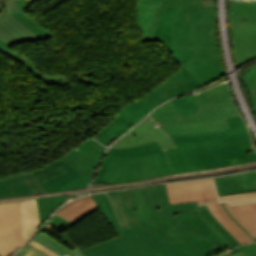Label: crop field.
<instances>
[{"label":"crop field","mask_w":256,"mask_h":256,"mask_svg":"<svg viewBox=\"0 0 256 256\" xmlns=\"http://www.w3.org/2000/svg\"><path fill=\"white\" fill-rule=\"evenodd\" d=\"M200 111L181 116L171 101L150 114L156 123H180L226 117L230 128L223 132L170 136L146 117L110 148H124L157 140L165 150L174 174L256 161L250 135L230 97L227 83L195 95ZM215 99V101H213ZM163 107V108H161ZM124 142V144H122Z\"/></svg>","instance_id":"obj_1"},{"label":"crop field","mask_w":256,"mask_h":256,"mask_svg":"<svg viewBox=\"0 0 256 256\" xmlns=\"http://www.w3.org/2000/svg\"><path fill=\"white\" fill-rule=\"evenodd\" d=\"M163 5L178 7L172 46L184 67L203 85L222 76L225 70L216 46L213 0H163L147 41L152 38Z\"/></svg>","instance_id":"obj_2"},{"label":"crop field","mask_w":256,"mask_h":256,"mask_svg":"<svg viewBox=\"0 0 256 256\" xmlns=\"http://www.w3.org/2000/svg\"><path fill=\"white\" fill-rule=\"evenodd\" d=\"M176 9L177 8L174 7H163L156 31L151 41H161L178 61L181 69L159 84L143 98L125 106L111 123L93 137L103 145H107L110 141L128 131L150 110L160 105V103L174 96L196 90L194 87L197 89L203 87V85L182 66L171 46L172 25ZM175 86H177V88H175Z\"/></svg>","instance_id":"obj_3"},{"label":"crop field","mask_w":256,"mask_h":256,"mask_svg":"<svg viewBox=\"0 0 256 256\" xmlns=\"http://www.w3.org/2000/svg\"><path fill=\"white\" fill-rule=\"evenodd\" d=\"M91 196L119 236L83 249L85 256H184L156 239L140 225L121 229L107 194Z\"/></svg>","instance_id":"obj_4"},{"label":"crop field","mask_w":256,"mask_h":256,"mask_svg":"<svg viewBox=\"0 0 256 256\" xmlns=\"http://www.w3.org/2000/svg\"><path fill=\"white\" fill-rule=\"evenodd\" d=\"M139 223L149 233L186 256H215L227 249L193 238L174 227L160 230L151 220L160 218L151 187L131 190ZM212 247H208V246Z\"/></svg>","instance_id":"obj_5"},{"label":"crop field","mask_w":256,"mask_h":256,"mask_svg":"<svg viewBox=\"0 0 256 256\" xmlns=\"http://www.w3.org/2000/svg\"><path fill=\"white\" fill-rule=\"evenodd\" d=\"M171 174L173 173L164 151L139 157H118L106 154L93 183L115 184Z\"/></svg>","instance_id":"obj_6"},{"label":"crop field","mask_w":256,"mask_h":256,"mask_svg":"<svg viewBox=\"0 0 256 256\" xmlns=\"http://www.w3.org/2000/svg\"><path fill=\"white\" fill-rule=\"evenodd\" d=\"M23 244L19 201L0 204V254L11 256Z\"/></svg>","instance_id":"obj_7"},{"label":"crop field","mask_w":256,"mask_h":256,"mask_svg":"<svg viewBox=\"0 0 256 256\" xmlns=\"http://www.w3.org/2000/svg\"><path fill=\"white\" fill-rule=\"evenodd\" d=\"M153 192L155 199L161 213L162 218L153 220V222L162 230H167L173 225L180 222L173 215L192 208L200 219L212 230V232L219 238L221 242L227 243L231 248L233 246L219 233V231L206 219L205 215L198 208L197 203L174 204L170 205L168 201L167 190L165 184L154 186Z\"/></svg>","instance_id":"obj_8"},{"label":"crop field","mask_w":256,"mask_h":256,"mask_svg":"<svg viewBox=\"0 0 256 256\" xmlns=\"http://www.w3.org/2000/svg\"><path fill=\"white\" fill-rule=\"evenodd\" d=\"M170 204L198 202L199 205L205 202H218L216 188L213 180H198L166 184Z\"/></svg>","instance_id":"obj_9"},{"label":"crop field","mask_w":256,"mask_h":256,"mask_svg":"<svg viewBox=\"0 0 256 256\" xmlns=\"http://www.w3.org/2000/svg\"><path fill=\"white\" fill-rule=\"evenodd\" d=\"M15 11L14 0L0 4V39L8 45L42 39L10 13ZM0 40V41H1Z\"/></svg>","instance_id":"obj_10"},{"label":"crop field","mask_w":256,"mask_h":256,"mask_svg":"<svg viewBox=\"0 0 256 256\" xmlns=\"http://www.w3.org/2000/svg\"><path fill=\"white\" fill-rule=\"evenodd\" d=\"M233 31V47L236 68L256 59V25L229 20Z\"/></svg>","instance_id":"obj_11"},{"label":"crop field","mask_w":256,"mask_h":256,"mask_svg":"<svg viewBox=\"0 0 256 256\" xmlns=\"http://www.w3.org/2000/svg\"><path fill=\"white\" fill-rule=\"evenodd\" d=\"M32 174L46 193L62 191L60 186L83 175L61 159Z\"/></svg>","instance_id":"obj_12"},{"label":"crop field","mask_w":256,"mask_h":256,"mask_svg":"<svg viewBox=\"0 0 256 256\" xmlns=\"http://www.w3.org/2000/svg\"><path fill=\"white\" fill-rule=\"evenodd\" d=\"M102 147L104 146L93 139H89L79 146L78 150L71 151L61 159L81 173L93 176L98 161L105 153V150H103Z\"/></svg>","instance_id":"obj_13"},{"label":"crop field","mask_w":256,"mask_h":256,"mask_svg":"<svg viewBox=\"0 0 256 256\" xmlns=\"http://www.w3.org/2000/svg\"><path fill=\"white\" fill-rule=\"evenodd\" d=\"M45 193L31 173L0 180V197Z\"/></svg>","instance_id":"obj_14"},{"label":"crop field","mask_w":256,"mask_h":256,"mask_svg":"<svg viewBox=\"0 0 256 256\" xmlns=\"http://www.w3.org/2000/svg\"><path fill=\"white\" fill-rule=\"evenodd\" d=\"M214 180L219 195L256 191V171Z\"/></svg>","instance_id":"obj_15"},{"label":"crop field","mask_w":256,"mask_h":256,"mask_svg":"<svg viewBox=\"0 0 256 256\" xmlns=\"http://www.w3.org/2000/svg\"><path fill=\"white\" fill-rule=\"evenodd\" d=\"M157 125L161 127L168 135L216 132L222 131L221 128L229 127L225 118L202 122Z\"/></svg>","instance_id":"obj_16"},{"label":"crop field","mask_w":256,"mask_h":256,"mask_svg":"<svg viewBox=\"0 0 256 256\" xmlns=\"http://www.w3.org/2000/svg\"><path fill=\"white\" fill-rule=\"evenodd\" d=\"M230 214L256 239V203L231 206L224 202Z\"/></svg>","instance_id":"obj_17"},{"label":"crop field","mask_w":256,"mask_h":256,"mask_svg":"<svg viewBox=\"0 0 256 256\" xmlns=\"http://www.w3.org/2000/svg\"><path fill=\"white\" fill-rule=\"evenodd\" d=\"M162 0H138V21L137 26L143 36L140 42L146 41L154 17Z\"/></svg>","instance_id":"obj_18"},{"label":"crop field","mask_w":256,"mask_h":256,"mask_svg":"<svg viewBox=\"0 0 256 256\" xmlns=\"http://www.w3.org/2000/svg\"><path fill=\"white\" fill-rule=\"evenodd\" d=\"M97 208L91 196L80 198L71 202L58 212V216L75 224Z\"/></svg>","instance_id":"obj_19"},{"label":"crop field","mask_w":256,"mask_h":256,"mask_svg":"<svg viewBox=\"0 0 256 256\" xmlns=\"http://www.w3.org/2000/svg\"><path fill=\"white\" fill-rule=\"evenodd\" d=\"M24 241L26 242L41 226L35 199L20 201Z\"/></svg>","instance_id":"obj_20"},{"label":"crop field","mask_w":256,"mask_h":256,"mask_svg":"<svg viewBox=\"0 0 256 256\" xmlns=\"http://www.w3.org/2000/svg\"><path fill=\"white\" fill-rule=\"evenodd\" d=\"M214 217L241 243L254 242L225 212L221 203L208 204Z\"/></svg>","instance_id":"obj_21"},{"label":"crop field","mask_w":256,"mask_h":256,"mask_svg":"<svg viewBox=\"0 0 256 256\" xmlns=\"http://www.w3.org/2000/svg\"><path fill=\"white\" fill-rule=\"evenodd\" d=\"M229 19L243 20L256 24V2L232 1Z\"/></svg>","instance_id":"obj_22"},{"label":"crop field","mask_w":256,"mask_h":256,"mask_svg":"<svg viewBox=\"0 0 256 256\" xmlns=\"http://www.w3.org/2000/svg\"><path fill=\"white\" fill-rule=\"evenodd\" d=\"M158 151H161V148L157 141L130 147V148H124V149H109L107 152L111 155H118V156H138V155H147L156 153Z\"/></svg>","instance_id":"obj_23"},{"label":"crop field","mask_w":256,"mask_h":256,"mask_svg":"<svg viewBox=\"0 0 256 256\" xmlns=\"http://www.w3.org/2000/svg\"><path fill=\"white\" fill-rule=\"evenodd\" d=\"M128 226L138 225L130 190L117 191Z\"/></svg>","instance_id":"obj_24"},{"label":"crop field","mask_w":256,"mask_h":256,"mask_svg":"<svg viewBox=\"0 0 256 256\" xmlns=\"http://www.w3.org/2000/svg\"><path fill=\"white\" fill-rule=\"evenodd\" d=\"M65 200L67 199L63 195L56 196V197L36 199L41 224L48 217V215Z\"/></svg>","instance_id":"obj_25"},{"label":"crop field","mask_w":256,"mask_h":256,"mask_svg":"<svg viewBox=\"0 0 256 256\" xmlns=\"http://www.w3.org/2000/svg\"><path fill=\"white\" fill-rule=\"evenodd\" d=\"M37 241L38 243L50 248L54 252L58 253L59 255H64L68 254L70 256H84L81 250L79 251L78 249L73 250L72 252L59 244L57 241L51 239L41 231L38 233V235L33 239Z\"/></svg>","instance_id":"obj_26"},{"label":"crop field","mask_w":256,"mask_h":256,"mask_svg":"<svg viewBox=\"0 0 256 256\" xmlns=\"http://www.w3.org/2000/svg\"><path fill=\"white\" fill-rule=\"evenodd\" d=\"M178 216L191 228L194 230L217 239V237L210 231V229L199 219V217L192 211V209L187 210L178 214ZM218 240V239H217Z\"/></svg>","instance_id":"obj_27"},{"label":"crop field","mask_w":256,"mask_h":256,"mask_svg":"<svg viewBox=\"0 0 256 256\" xmlns=\"http://www.w3.org/2000/svg\"><path fill=\"white\" fill-rule=\"evenodd\" d=\"M181 115H186L199 110L194 95L171 100Z\"/></svg>","instance_id":"obj_28"},{"label":"crop field","mask_w":256,"mask_h":256,"mask_svg":"<svg viewBox=\"0 0 256 256\" xmlns=\"http://www.w3.org/2000/svg\"><path fill=\"white\" fill-rule=\"evenodd\" d=\"M202 212L206 215L207 219L221 232V234L234 246L241 245L211 214L208 208L200 206Z\"/></svg>","instance_id":"obj_29"},{"label":"crop field","mask_w":256,"mask_h":256,"mask_svg":"<svg viewBox=\"0 0 256 256\" xmlns=\"http://www.w3.org/2000/svg\"><path fill=\"white\" fill-rule=\"evenodd\" d=\"M16 18H18L20 21H22L25 25H27L29 28H31L34 32H36L39 36H41L43 39L49 38L50 35L48 32H46L42 27H40L36 22H34L30 17H28L23 12H14L12 13Z\"/></svg>","instance_id":"obj_30"},{"label":"crop field","mask_w":256,"mask_h":256,"mask_svg":"<svg viewBox=\"0 0 256 256\" xmlns=\"http://www.w3.org/2000/svg\"><path fill=\"white\" fill-rule=\"evenodd\" d=\"M176 218H178L181 222L178 223L177 225H175L176 227L180 228L181 230H183L184 232L188 233L189 235L193 236V237H196L198 239H201V240H204L206 242H209L211 244H214V245H218V246H222V247H225L227 249H230V247L227 245V244H224V243H220L214 239H211L209 237H206L196 231H194L193 229L189 228L177 215H175Z\"/></svg>","instance_id":"obj_31"},{"label":"crop field","mask_w":256,"mask_h":256,"mask_svg":"<svg viewBox=\"0 0 256 256\" xmlns=\"http://www.w3.org/2000/svg\"><path fill=\"white\" fill-rule=\"evenodd\" d=\"M243 81L249 90V94L252 98L254 110L256 113V67L244 75Z\"/></svg>","instance_id":"obj_32"},{"label":"crop field","mask_w":256,"mask_h":256,"mask_svg":"<svg viewBox=\"0 0 256 256\" xmlns=\"http://www.w3.org/2000/svg\"><path fill=\"white\" fill-rule=\"evenodd\" d=\"M220 201L229 200L231 204H239L256 201V192L219 196Z\"/></svg>","instance_id":"obj_33"},{"label":"crop field","mask_w":256,"mask_h":256,"mask_svg":"<svg viewBox=\"0 0 256 256\" xmlns=\"http://www.w3.org/2000/svg\"><path fill=\"white\" fill-rule=\"evenodd\" d=\"M110 201L112 203V206L114 208L115 214L117 216V219L121 225V227H128L125 220H124V216H123V212L119 203V199H118V195L116 192H111V193H107Z\"/></svg>","instance_id":"obj_34"},{"label":"crop field","mask_w":256,"mask_h":256,"mask_svg":"<svg viewBox=\"0 0 256 256\" xmlns=\"http://www.w3.org/2000/svg\"><path fill=\"white\" fill-rule=\"evenodd\" d=\"M92 178L90 176H82L64 186H62V190L63 191H68V190H78L81 188L86 187L90 182H91Z\"/></svg>","instance_id":"obj_35"},{"label":"crop field","mask_w":256,"mask_h":256,"mask_svg":"<svg viewBox=\"0 0 256 256\" xmlns=\"http://www.w3.org/2000/svg\"><path fill=\"white\" fill-rule=\"evenodd\" d=\"M17 256H50L46 252L28 244Z\"/></svg>","instance_id":"obj_36"},{"label":"crop field","mask_w":256,"mask_h":256,"mask_svg":"<svg viewBox=\"0 0 256 256\" xmlns=\"http://www.w3.org/2000/svg\"><path fill=\"white\" fill-rule=\"evenodd\" d=\"M243 251L248 256H256V243L245 244L243 246L236 247L232 250L226 251L228 254Z\"/></svg>","instance_id":"obj_37"},{"label":"crop field","mask_w":256,"mask_h":256,"mask_svg":"<svg viewBox=\"0 0 256 256\" xmlns=\"http://www.w3.org/2000/svg\"><path fill=\"white\" fill-rule=\"evenodd\" d=\"M49 223H51L53 226L58 228L61 232H63L65 229H67L68 227L73 225V224L63 220L62 218L56 216V215L54 216V218Z\"/></svg>","instance_id":"obj_38"},{"label":"crop field","mask_w":256,"mask_h":256,"mask_svg":"<svg viewBox=\"0 0 256 256\" xmlns=\"http://www.w3.org/2000/svg\"><path fill=\"white\" fill-rule=\"evenodd\" d=\"M30 244H32V245H34V246H36V247H38V248H40V249L46 251V252H47L48 254H50L51 256H59V255H57L56 253H54L53 251H51L50 249H48V248H46V247H44V246H42V245L36 243V242L33 241V240L30 242ZM64 256H68V255L66 254V255H64Z\"/></svg>","instance_id":"obj_39"},{"label":"crop field","mask_w":256,"mask_h":256,"mask_svg":"<svg viewBox=\"0 0 256 256\" xmlns=\"http://www.w3.org/2000/svg\"><path fill=\"white\" fill-rule=\"evenodd\" d=\"M27 8V0H16V10H24Z\"/></svg>","instance_id":"obj_40"},{"label":"crop field","mask_w":256,"mask_h":256,"mask_svg":"<svg viewBox=\"0 0 256 256\" xmlns=\"http://www.w3.org/2000/svg\"><path fill=\"white\" fill-rule=\"evenodd\" d=\"M8 47H9L8 45H6L4 42L0 41V51L5 54L12 55L13 52L9 51Z\"/></svg>","instance_id":"obj_41"},{"label":"crop field","mask_w":256,"mask_h":256,"mask_svg":"<svg viewBox=\"0 0 256 256\" xmlns=\"http://www.w3.org/2000/svg\"><path fill=\"white\" fill-rule=\"evenodd\" d=\"M217 256H247L246 254H244L243 252H240V253H236V254H231V255H228L226 254L225 252L217 255Z\"/></svg>","instance_id":"obj_42"},{"label":"crop field","mask_w":256,"mask_h":256,"mask_svg":"<svg viewBox=\"0 0 256 256\" xmlns=\"http://www.w3.org/2000/svg\"><path fill=\"white\" fill-rule=\"evenodd\" d=\"M222 203V206L225 208V206H224V204H223V202H221ZM225 210H226V212L229 214V212L227 211V209L225 208ZM230 215V214H229ZM230 217L235 221V219L230 215ZM236 222V221H235ZM237 223V222H236ZM238 224V223H237ZM239 225V224H238ZM240 226V225H239ZM241 227V226H240ZM242 228V227H241ZM253 240H254V238L244 229V228H242ZM255 241V240H254Z\"/></svg>","instance_id":"obj_43"},{"label":"crop field","mask_w":256,"mask_h":256,"mask_svg":"<svg viewBox=\"0 0 256 256\" xmlns=\"http://www.w3.org/2000/svg\"><path fill=\"white\" fill-rule=\"evenodd\" d=\"M0 3H1V1H0Z\"/></svg>","instance_id":"obj_44"},{"label":"crop field","mask_w":256,"mask_h":256,"mask_svg":"<svg viewBox=\"0 0 256 256\" xmlns=\"http://www.w3.org/2000/svg\"><path fill=\"white\" fill-rule=\"evenodd\" d=\"M1 256V255H0Z\"/></svg>","instance_id":"obj_45"}]
</instances>
